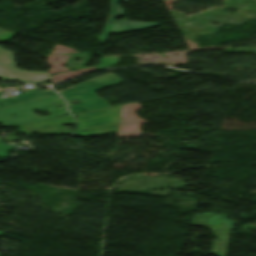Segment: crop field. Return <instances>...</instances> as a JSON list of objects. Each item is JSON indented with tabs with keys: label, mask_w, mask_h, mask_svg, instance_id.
Wrapping results in <instances>:
<instances>
[{
	"label": "crop field",
	"mask_w": 256,
	"mask_h": 256,
	"mask_svg": "<svg viewBox=\"0 0 256 256\" xmlns=\"http://www.w3.org/2000/svg\"><path fill=\"white\" fill-rule=\"evenodd\" d=\"M120 81H122V79L110 73L61 91L59 94L67 101L69 106L73 107L70 111L75 114L83 110L90 111L109 107L108 102L100 99L93 94V92ZM72 99H79L83 104L71 105Z\"/></svg>",
	"instance_id": "obj_1"
},
{
	"label": "crop field",
	"mask_w": 256,
	"mask_h": 256,
	"mask_svg": "<svg viewBox=\"0 0 256 256\" xmlns=\"http://www.w3.org/2000/svg\"><path fill=\"white\" fill-rule=\"evenodd\" d=\"M62 104L59 109L54 108L56 105ZM34 109H44L51 114L46 117H39L32 113ZM67 113L64 101L58 96H52L0 110L1 127L13 126L21 123L33 122L43 119L55 118L61 114ZM16 114L11 117L10 115Z\"/></svg>",
	"instance_id": "obj_2"
},
{
	"label": "crop field",
	"mask_w": 256,
	"mask_h": 256,
	"mask_svg": "<svg viewBox=\"0 0 256 256\" xmlns=\"http://www.w3.org/2000/svg\"><path fill=\"white\" fill-rule=\"evenodd\" d=\"M228 216L206 213L204 215L195 214L193 216V225L207 227L213 230L218 239L214 241L211 253L225 256L229 236L234 222L227 220Z\"/></svg>",
	"instance_id": "obj_3"
},
{
	"label": "crop field",
	"mask_w": 256,
	"mask_h": 256,
	"mask_svg": "<svg viewBox=\"0 0 256 256\" xmlns=\"http://www.w3.org/2000/svg\"><path fill=\"white\" fill-rule=\"evenodd\" d=\"M120 107H109L76 114L78 127L75 132L117 124Z\"/></svg>",
	"instance_id": "obj_4"
},
{
	"label": "crop field",
	"mask_w": 256,
	"mask_h": 256,
	"mask_svg": "<svg viewBox=\"0 0 256 256\" xmlns=\"http://www.w3.org/2000/svg\"><path fill=\"white\" fill-rule=\"evenodd\" d=\"M14 72V75H10ZM0 76L3 79H13L16 81H26V82H43L50 80L51 77L45 72H27L17 70L13 62L12 53L4 50L0 46ZM35 77V79H32Z\"/></svg>",
	"instance_id": "obj_5"
},
{
	"label": "crop field",
	"mask_w": 256,
	"mask_h": 256,
	"mask_svg": "<svg viewBox=\"0 0 256 256\" xmlns=\"http://www.w3.org/2000/svg\"><path fill=\"white\" fill-rule=\"evenodd\" d=\"M119 0H111V9L108 16L107 24L104 28L103 34L98 38L100 44L104 45L109 33H120L126 31H133L137 29L158 26L157 23L131 22L123 20L121 22L113 21L117 16H122V8L117 6ZM119 23V25H117Z\"/></svg>",
	"instance_id": "obj_6"
},
{
	"label": "crop field",
	"mask_w": 256,
	"mask_h": 256,
	"mask_svg": "<svg viewBox=\"0 0 256 256\" xmlns=\"http://www.w3.org/2000/svg\"><path fill=\"white\" fill-rule=\"evenodd\" d=\"M62 124H74L73 118L71 115L57 118V119H49L44 121H38L33 123L21 124L18 125L20 131L26 130H59V131H71L72 129H63L61 128Z\"/></svg>",
	"instance_id": "obj_7"
},
{
	"label": "crop field",
	"mask_w": 256,
	"mask_h": 256,
	"mask_svg": "<svg viewBox=\"0 0 256 256\" xmlns=\"http://www.w3.org/2000/svg\"><path fill=\"white\" fill-rule=\"evenodd\" d=\"M55 94L56 93L52 90L38 91L34 89L31 92L9 97L8 99L0 98V108H4L7 106H11V105H15V104H19V103H23V102H27V101L55 95Z\"/></svg>",
	"instance_id": "obj_8"
},
{
	"label": "crop field",
	"mask_w": 256,
	"mask_h": 256,
	"mask_svg": "<svg viewBox=\"0 0 256 256\" xmlns=\"http://www.w3.org/2000/svg\"><path fill=\"white\" fill-rule=\"evenodd\" d=\"M115 131H117V125L98 128V129L89 130V131L77 132V133H73V134L78 135V136H90V135L105 134V133H110V132H115Z\"/></svg>",
	"instance_id": "obj_9"
},
{
	"label": "crop field",
	"mask_w": 256,
	"mask_h": 256,
	"mask_svg": "<svg viewBox=\"0 0 256 256\" xmlns=\"http://www.w3.org/2000/svg\"><path fill=\"white\" fill-rule=\"evenodd\" d=\"M12 148L13 146L0 144V156H7L8 151Z\"/></svg>",
	"instance_id": "obj_10"
},
{
	"label": "crop field",
	"mask_w": 256,
	"mask_h": 256,
	"mask_svg": "<svg viewBox=\"0 0 256 256\" xmlns=\"http://www.w3.org/2000/svg\"><path fill=\"white\" fill-rule=\"evenodd\" d=\"M33 132H36V133H57V134H69L71 132H59V131H26V132H23V133H33Z\"/></svg>",
	"instance_id": "obj_11"
},
{
	"label": "crop field",
	"mask_w": 256,
	"mask_h": 256,
	"mask_svg": "<svg viewBox=\"0 0 256 256\" xmlns=\"http://www.w3.org/2000/svg\"><path fill=\"white\" fill-rule=\"evenodd\" d=\"M3 234V232L2 231H0V236ZM1 255V254H0Z\"/></svg>",
	"instance_id": "obj_12"
},
{
	"label": "crop field",
	"mask_w": 256,
	"mask_h": 256,
	"mask_svg": "<svg viewBox=\"0 0 256 256\" xmlns=\"http://www.w3.org/2000/svg\"><path fill=\"white\" fill-rule=\"evenodd\" d=\"M1 138V137H0Z\"/></svg>",
	"instance_id": "obj_13"
}]
</instances>
